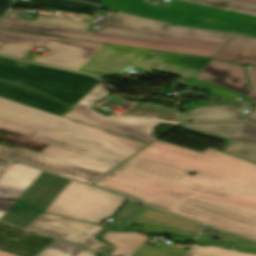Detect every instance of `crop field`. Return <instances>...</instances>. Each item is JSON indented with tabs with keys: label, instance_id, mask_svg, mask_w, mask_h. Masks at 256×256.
<instances>
[{
	"label": "crop field",
	"instance_id": "obj_35",
	"mask_svg": "<svg viewBox=\"0 0 256 256\" xmlns=\"http://www.w3.org/2000/svg\"><path fill=\"white\" fill-rule=\"evenodd\" d=\"M12 149H8V148H5V147H1L0 146V155L4 156L6 155L8 152H10ZM9 154V153H8Z\"/></svg>",
	"mask_w": 256,
	"mask_h": 256
},
{
	"label": "crop field",
	"instance_id": "obj_40",
	"mask_svg": "<svg viewBox=\"0 0 256 256\" xmlns=\"http://www.w3.org/2000/svg\"><path fill=\"white\" fill-rule=\"evenodd\" d=\"M6 57H8V56H6ZM10 58H14V57H10ZM14 59H18V60H21L20 58H14Z\"/></svg>",
	"mask_w": 256,
	"mask_h": 256
},
{
	"label": "crop field",
	"instance_id": "obj_2",
	"mask_svg": "<svg viewBox=\"0 0 256 256\" xmlns=\"http://www.w3.org/2000/svg\"><path fill=\"white\" fill-rule=\"evenodd\" d=\"M0 98V131L50 145L41 154L105 175L147 144L107 131L59 119Z\"/></svg>",
	"mask_w": 256,
	"mask_h": 256
},
{
	"label": "crop field",
	"instance_id": "obj_18",
	"mask_svg": "<svg viewBox=\"0 0 256 256\" xmlns=\"http://www.w3.org/2000/svg\"><path fill=\"white\" fill-rule=\"evenodd\" d=\"M176 185L193 191L192 197L198 192H204L226 198L236 190L241 183L231 180L197 174L193 176L188 173Z\"/></svg>",
	"mask_w": 256,
	"mask_h": 256
},
{
	"label": "crop field",
	"instance_id": "obj_33",
	"mask_svg": "<svg viewBox=\"0 0 256 256\" xmlns=\"http://www.w3.org/2000/svg\"><path fill=\"white\" fill-rule=\"evenodd\" d=\"M11 203L0 202V220L11 207Z\"/></svg>",
	"mask_w": 256,
	"mask_h": 256
},
{
	"label": "crop field",
	"instance_id": "obj_9",
	"mask_svg": "<svg viewBox=\"0 0 256 256\" xmlns=\"http://www.w3.org/2000/svg\"><path fill=\"white\" fill-rule=\"evenodd\" d=\"M125 199L70 181L45 212L101 224Z\"/></svg>",
	"mask_w": 256,
	"mask_h": 256
},
{
	"label": "crop field",
	"instance_id": "obj_11",
	"mask_svg": "<svg viewBox=\"0 0 256 256\" xmlns=\"http://www.w3.org/2000/svg\"><path fill=\"white\" fill-rule=\"evenodd\" d=\"M187 131L228 143L225 152L256 163V125L243 121L201 122L183 124Z\"/></svg>",
	"mask_w": 256,
	"mask_h": 256
},
{
	"label": "crop field",
	"instance_id": "obj_10",
	"mask_svg": "<svg viewBox=\"0 0 256 256\" xmlns=\"http://www.w3.org/2000/svg\"><path fill=\"white\" fill-rule=\"evenodd\" d=\"M69 180L43 172L12 205L2 221L25 228L48 208Z\"/></svg>",
	"mask_w": 256,
	"mask_h": 256
},
{
	"label": "crop field",
	"instance_id": "obj_37",
	"mask_svg": "<svg viewBox=\"0 0 256 256\" xmlns=\"http://www.w3.org/2000/svg\"><path fill=\"white\" fill-rule=\"evenodd\" d=\"M0 256H16V255H13V254H10V253H7V252H4V251L0 250Z\"/></svg>",
	"mask_w": 256,
	"mask_h": 256
},
{
	"label": "crop field",
	"instance_id": "obj_23",
	"mask_svg": "<svg viewBox=\"0 0 256 256\" xmlns=\"http://www.w3.org/2000/svg\"><path fill=\"white\" fill-rule=\"evenodd\" d=\"M241 110L230 106H214L193 110L187 117L189 121L193 120H224L239 118Z\"/></svg>",
	"mask_w": 256,
	"mask_h": 256
},
{
	"label": "crop field",
	"instance_id": "obj_32",
	"mask_svg": "<svg viewBox=\"0 0 256 256\" xmlns=\"http://www.w3.org/2000/svg\"><path fill=\"white\" fill-rule=\"evenodd\" d=\"M12 163L13 161L0 157V177L4 174V172L9 168Z\"/></svg>",
	"mask_w": 256,
	"mask_h": 256
},
{
	"label": "crop field",
	"instance_id": "obj_6",
	"mask_svg": "<svg viewBox=\"0 0 256 256\" xmlns=\"http://www.w3.org/2000/svg\"><path fill=\"white\" fill-rule=\"evenodd\" d=\"M89 34L215 51L233 35L165 25L117 12L112 21L103 23L100 29H91Z\"/></svg>",
	"mask_w": 256,
	"mask_h": 256
},
{
	"label": "crop field",
	"instance_id": "obj_20",
	"mask_svg": "<svg viewBox=\"0 0 256 256\" xmlns=\"http://www.w3.org/2000/svg\"><path fill=\"white\" fill-rule=\"evenodd\" d=\"M87 40L212 58L217 52L89 35Z\"/></svg>",
	"mask_w": 256,
	"mask_h": 256
},
{
	"label": "crop field",
	"instance_id": "obj_17",
	"mask_svg": "<svg viewBox=\"0 0 256 256\" xmlns=\"http://www.w3.org/2000/svg\"><path fill=\"white\" fill-rule=\"evenodd\" d=\"M41 173L25 165L12 164L0 179V201L15 203Z\"/></svg>",
	"mask_w": 256,
	"mask_h": 256
},
{
	"label": "crop field",
	"instance_id": "obj_30",
	"mask_svg": "<svg viewBox=\"0 0 256 256\" xmlns=\"http://www.w3.org/2000/svg\"><path fill=\"white\" fill-rule=\"evenodd\" d=\"M148 209V206L143 205L140 206L127 220L126 224H124L122 229H126L128 227L131 226V224L142 214L144 213L146 210ZM129 229V228H128Z\"/></svg>",
	"mask_w": 256,
	"mask_h": 256
},
{
	"label": "crop field",
	"instance_id": "obj_13",
	"mask_svg": "<svg viewBox=\"0 0 256 256\" xmlns=\"http://www.w3.org/2000/svg\"><path fill=\"white\" fill-rule=\"evenodd\" d=\"M246 68L252 90L248 87L243 67L215 60L210 61L195 79L240 92L256 101V67L246 66ZM242 119L256 123V109Z\"/></svg>",
	"mask_w": 256,
	"mask_h": 256
},
{
	"label": "crop field",
	"instance_id": "obj_1",
	"mask_svg": "<svg viewBox=\"0 0 256 256\" xmlns=\"http://www.w3.org/2000/svg\"><path fill=\"white\" fill-rule=\"evenodd\" d=\"M189 171L243 183L226 199L174 185ZM112 192L256 240V165L156 141L97 182Z\"/></svg>",
	"mask_w": 256,
	"mask_h": 256
},
{
	"label": "crop field",
	"instance_id": "obj_39",
	"mask_svg": "<svg viewBox=\"0 0 256 256\" xmlns=\"http://www.w3.org/2000/svg\"><path fill=\"white\" fill-rule=\"evenodd\" d=\"M179 116H180L181 121H183V122L187 121L185 114H179Z\"/></svg>",
	"mask_w": 256,
	"mask_h": 256
},
{
	"label": "crop field",
	"instance_id": "obj_34",
	"mask_svg": "<svg viewBox=\"0 0 256 256\" xmlns=\"http://www.w3.org/2000/svg\"><path fill=\"white\" fill-rule=\"evenodd\" d=\"M12 0H0V16L6 12Z\"/></svg>",
	"mask_w": 256,
	"mask_h": 256
},
{
	"label": "crop field",
	"instance_id": "obj_29",
	"mask_svg": "<svg viewBox=\"0 0 256 256\" xmlns=\"http://www.w3.org/2000/svg\"><path fill=\"white\" fill-rule=\"evenodd\" d=\"M138 205L136 203L128 201L115 220L108 226L107 229H120L124 219L129 215V213Z\"/></svg>",
	"mask_w": 256,
	"mask_h": 256
},
{
	"label": "crop field",
	"instance_id": "obj_5",
	"mask_svg": "<svg viewBox=\"0 0 256 256\" xmlns=\"http://www.w3.org/2000/svg\"><path fill=\"white\" fill-rule=\"evenodd\" d=\"M211 59L158 51L106 45L81 70L103 74L122 73L125 69L144 68L146 73L164 72L194 79ZM178 84H174L176 86Z\"/></svg>",
	"mask_w": 256,
	"mask_h": 256
},
{
	"label": "crop field",
	"instance_id": "obj_16",
	"mask_svg": "<svg viewBox=\"0 0 256 256\" xmlns=\"http://www.w3.org/2000/svg\"><path fill=\"white\" fill-rule=\"evenodd\" d=\"M135 222L143 224L144 226L142 229L148 231H167L185 238H194L198 235L202 227V224L151 207H149V209Z\"/></svg>",
	"mask_w": 256,
	"mask_h": 256
},
{
	"label": "crop field",
	"instance_id": "obj_12",
	"mask_svg": "<svg viewBox=\"0 0 256 256\" xmlns=\"http://www.w3.org/2000/svg\"><path fill=\"white\" fill-rule=\"evenodd\" d=\"M26 229L53 236L80 246L104 253L108 246L95 240L102 226L63 219L60 216L43 214Z\"/></svg>",
	"mask_w": 256,
	"mask_h": 256
},
{
	"label": "crop field",
	"instance_id": "obj_38",
	"mask_svg": "<svg viewBox=\"0 0 256 256\" xmlns=\"http://www.w3.org/2000/svg\"><path fill=\"white\" fill-rule=\"evenodd\" d=\"M27 61H29V62H33V61H30V60H27ZM34 63H38V62H34ZM39 64H43V63H39ZM43 65H48V64H43ZM48 66H53V65H48ZM53 67H58V66H53ZM58 68H62V67H58ZM64 69H67V68H64ZM70 70H72V69H70ZM77 71V70H76ZM82 72V71H81ZM86 73V72H85ZM89 74H91V73H89ZM92 75H94V76H96L97 74H92Z\"/></svg>",
	"mask_w": 256,
	"mask_h": 256
},
{
	"label": "crop field",
	"instance_id": "obj_25",
	"mask_svg": "<svg viewBox=\"0 0 256 256\" xmlns=\"http://www.w3.org/2000/svg\"><path fill=\"white\" fill-rule=\"evenodd\" d=\"M187 87H189V89H195V88L203 89V90L210 92V95H212L214 97L226 99V101H222L221 104H227V105L234 106V107L239 106V107L247 108V109H251L253 107L249 103V101L239 98L238 95L221 90L219 88H216V87H213L210 85H206V84H202V83L193 81Z\"/></svg>",
	"mask_w": 256,
	"mask_h": 256
},
{
	"label": "crop field",
	"instance_id": "obj_24",
	"mask_svg": "<svg viewBox=\"0 0 256 256\" xmlns=\"http://www.w3.org/2000/svg\"><path fill=\"white\" fill-rule=\"evenodd\" d=\"M218 8H229L235 12L256 15V0H186Z\"/></svg>",
	"mask_w": 256,
	"mask_h": 256
},
{
	"label": "crop field",
	"instance_id": "obj_14",
	"mask_svg": "<svg viewBox=\"0 0 256 256\" xmlns=\"http://www.w3.org/2000/svg\"><path fill=\"white\" fill-rule=\"evenodd\" d=\"M19 12L9 11L0 20V28L75 38L85 40L88 33V22L36 16L34 21L17 19Z\"/></svg>",
	"mask_w": 256,
	"mask_h": 256
},
{
	"label": "crop field",
	"instance_id": "obj_22",
	"mask_svg": "<svg viewBox=\"0 0 256 256\" xmlns=\"http://www.w3.org/2000/svg\"><path fill=\"white\" fill-rule=\"evenodd\" d=\"M14 4L96 15L98 6L72 0H16Z\"/></svg>",
	"mask_w": 256,
	"mask_h": 256
},
{
	"label": "crop field",
	"instance_id": "obj_26",
	"mask_svg": "<svg viewBox=\"0 0 256 256\" xmlns=\"http://www.w3.org/2000/svg\"><path fill=\"white\" fill-rule=\"evenodd\" d=\"M96 254L57 240L37 256H96Z\"/></svg>",
	"mask_w": 256,
	"mask_h": 256
},
{
	"label": "crop field",
	"instance_id": "obj_8",
	"mask_svg": "<svg viewBox=\"0 0 256 256\" xmlns=\"http://www.w3.org/2000/svg\"><path fill=\"white\" fill-rule=\"evenodd\" d=\"M107 94L108 92L103 88L102 84L99 83L74 104V108L72 110L70 109L71 111L64 116L148 143L156 140V138L150 135L159 123L179 126V123L163 121L154 117L129 115H111L105 117L93 111L91 109L93 103L103 99Z\"/></svg>",
	"mask_w": 256,
	"mask_h": 256
},
{
	"label": "crop field",
	"instance_id": "obj_15",
	"mask_svg": "<svg viewBox=\"0 0 256 256\" xmlns=\"http://www.w3.org/2000/svg\"><path fill=\"white\" fill-rule=\"evenodd\" d=\"M6 157L89 185L102 177L100 174L21 148L13 151Z\"/></svg>",
	"mask_w": 256,
	"mask_h": 256
},
{
	"label": "crop field",
	"instance_id": "obj_3",
	"mask_svg": "<svg viewBox=\"0 0 256 256\" xmlns=\"http://www.w3.org/2000/svg\"><path fill=\"white\" fill-rule=\"evenodd\" d=\"M0 78L41 90L72 107L99 80L80 73L0 58ZM0 97L61 116L70 108L29 88L0 79ZM76 104V103H75Z\"/></svg>",
	"mask_w": 256,
	"mask_h": 256
},
{
	"label": "crop field",
	"instance_id": "obj_36",
	"mask_svg": "<svg viewBox=\"0 0 256 256\" xmlns=\"http://www.w3.org/2000/svg\"><path fill=\"white\" fill-rule=\"evenodd\" d=\"M81 1H86V2H91V3H95V4H101L102 0H81Z\"/></svg>",
	"mask_w": 256,
	"mask_h": 256
},
{
	"label": "crop field",
	"instance_id": "obj_4",
	"mask_svg": "<svg viewBox=\"0 0 256 256\" xmlns=\"http://www.w3.org/2000/svg\"><path fill=\"white\" fill-rule=\"evenodd\" d=\"M142 0H103L102 6L180 25L237 32L256 37V18L173 0L165 8Z\"/></svg>",
	"mask_w": 256,
	"mask_h": 256
},
{
	"label": "crop field",
	"instance_id": "obj_27",
	"mask_svg": "<svg viewBox=\"0 0 256 256\" xmlns=\"http://www.w3.org/2000/svg\"><path fill=\"white\" fill-rule=\"evenodd\" d=\"M187 256H256V254L226 250L216 246L201 247L191 245V249Z\"/></svg>",
	"mask_w": 256,
	"mask_h": 256
},
{
	"label": "crop field",
	"instance_id": "obj_28",
	"mask_svg": "<svg viewBox=\"0 0 256 256\" xmlns=\"http://www.w3.org/2000/svg\"><path fill=\"white\" fill-rule=\"evenodd\" d=\"M188 250L164 245L161 249L145 244L135 256H186Z\"/></svg>",
	"mask_w": 256,
	"mask_h": 256
},
{
	"label": "crop field",
	"instance_id": "obj_31",
	"mask_svg": "<svg viewBox=\"0 0 256 256\" xmlns=\"http://www.w3.org/2000/svg\"><path fill=\"white\" fill-rule=\"evenodd\" d=\"M62 17H69V18H74V19H79V20H90L93 19V16H89L87 14H76L72 12H60Z\"/></svg>",
	"mask_w": 256,
	"mask_h": 256
},
{
	"label": "crop field",
	"instance_id": "obj_7",
	"mask_svg": "<svg viewBox=\"0 0 256 256\" xmlns=\"http://www.w3.org/2000/svg\"><path fill=\"white\" fill-rule=\"evenodd\" d=\"M34 46L50 50L34 61L80 70L105 45L0 29V54L23 58Z\"/></svg>",
	"mask_w": 256,
	"mask_h": 256
},
{
	"label": "crop field",
	"instance_id": "obj_19",
	"mask_svg": "<svg viewBox=\"0 0 256 256\" xmlns=\"http://www.w3.org/2000/svg\"><path fill=\"white\" fill-rule=\"evenodd\" d=\"M214 59L256 65V39L234 34Z\"/></svg>",
	"mask_w": 256,
	"mask_h": 256
},
{
	"label": "crop field",
	"instance_id": "obj_21",
	"mask_svg": "<svg viewBox=\"0 0 256 256\" xmlns=\"http://www.w3.org/2000/svg\"><path fill=\"white\" fill-rule=\"evenodd\" d=\"M147 238V236L137 232H108L102 237L104 241L115 246V250L109 253V255L112 256H118L121 254L132 256L137 251V249L147 240Z\"/></svg>",
	"mask_w": 256,
	"mask_h": 256
}]
</instances>
